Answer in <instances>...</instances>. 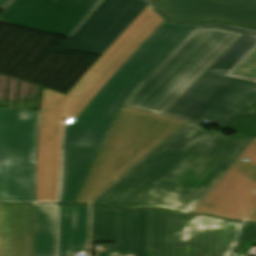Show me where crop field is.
<instances>
[{
    "label": "crop field",
    "mask_w": 256,
    "mask_h": 256,
    "mask_svg": "<svg viewBox=\"0 0 256 256\" xmlns=\"http://www.w3.org/2000/svg\"><path fill=\"white\" fill-rule=\"evenodd\" d=\"M256 243V224L245 223L237 244L230 256H241L248 254L252 245Z\"/></svg>",
    "instance_id": "733c2abd"
},
{
    "label": "crop field",
    "mask_w": 256,
    "mask_h": 256,
    "mask_svg": "<svg viewBox=\"0 0 256 256\" xmlns=\"http://www.w3.org/2000/svg\"><path fill=\"white\" fill-rule=\"evenodd\" d=\"M148 1H150V2H152V3L154 2V0H148Z\"/></svg>",
    "instance_id": "92a150f3"
},
{
    "label": "crop field",
    "mask_w": 256,
    "mask_h": 256,
    "mask_svg": "<svg viewBox=\"0 0 256 256\" xmlns=\"http://www.w3.org/2000/svg\"><path fill=\"white\" fill-rule=\"evenodd\" d=\"M219 127L256 136V98Z\"/></svg>",
    "instance_id": "d9b57169"
},
{
    "label": "crop field",
    "mask_w": 256,
    "mask_h": 256,
    "mask_svg": "<svg viewBox=\"0 0 256 256\" xmlns=\"http://www.w3.org/2000/svg\"><path fill=\"white\" fill-rule=\"evenodd\" d=\"M39 111L6 108L0 136V202H35Z\"/></svg>",
    "instance_id": "e52e79f7"
},
{
    "label": "crop field",
    "mask_w": 256,
    "mask_h": 256,
    "mask_svg": "<svg viewBox=\"0 0 256 256\" xmlns=\"http://www.w3.org/2000/svg\"><path fill=\"white\" fill-rule=\"evenodd\" d=\"M12 0H0V7L5 9Z\"/></svg>",
    "instance_id": "bc2a9ffb"
},
{
    "label": "crop field",
    "mask_w": 256,
    "mask_h": 256,
    "mask_svg": "<svg viewBox=\"0 0 256 256\" xmlns=\"http://www.w3.org/2000/svg\"><path fill=\"white\" fill-rule=\"evenodd\" d=\"M196 26L148 6L67 95L43 89L36 202L74 203L120 108Z\"/></svg>",
    "instance_id": "8a807250"
},
{
    "label": "crop field",
    "mask_w": 256,
    "mask_h": 256,
    "mask_svg": "<svg viewBox=\"0 0 256 256\" xmlns=\"http://www.w3.org/2000/svg\"><path fill=\"white\" fill-rule=\"evenodd\" d=\"M117 209L92 206V237L95 242H116Z\"/></svg>",
    "instance_id": "5142ce71"
},
{
    "label": "crop field",
    "mask_w": 256,
    "mask_h": 256,
    "mask_svg": "<svg viewBox=\"0 0 256 256\" xmlns=\"http://www.w3.org/2000/svg\"><path fill=\"white\" fill-rule=\"evenodd\" d=\"M73 253V252H72Z\"/></svg>",
    "instance_id": "dafd665d"
},
{
    "label": "crop field",
    "mask_w": 256,
    "mask_h": 256,
    "mask_svg": "<svg viewBox=\"0 0 256 256\" xmlns=\"http://www.w3.org/2000/svg\"><path fill=\"white\" fill-rule=\"evenodd\" d=\"M249 159L248 162L242 161ZM256 138L193 212L256 222Z\"/></svg>",
    "instance_id": "d8731c3e"
},
{
    "label": "crop field",
    "mask_w": 256,
    "mask_h": 256,
    "mask_svg": "<svg viewBox=\"0 0 256 256\" xmlns=\"http://www.w3.org/2000/svg\"><path fill=\"white\" fill-rule=\"evenodd\" d=\"M102 0H15L0 22L71 37Z\"/></svg>",
    "instance_id": "5a996713"
},
{
    "label": "crop field",
    "mask_w": 256,
    "mask_h": 256,
    "mask_svg": "<svg viewBox=\"0 0 256 256\" xmlns=\"http://www.w3.org/2000/svg\"><path fill=\"white\" fill-rule=\"evenodd\" d=\"M254 138L190 122L94 204L192 213Z\"/></svg>",
    "instance_id": "ac0d7876"
},
{
    "label": "crop field",
    "mask_w": 256,
    "mask_h": 256,
    "mask_svg": "<svg viewBox=\"0 0 256 256\" xmlns=\"http://www.w3.org/2000/svg\"><path fill=\"white\" fill-rule=\"evenodd\" d=\"M158 1V0H157Z\"/></svg>",
    "instance_id": "a9b5d70f"
},
{
    "label": "crop field",
    "mask_w": 256,
    "mask_h": 256,
    "mask_svg": "<svg viewBox=\"0 0 256 256\" xmlns=\"http://www.w3.org/2000/svg\"><path fill=\"white\" fill-rule=\"evenodd\" d=\"M89 216L88 206L60 205L59 256H70L71 251H86Z\"/></svg>",
    "instance_id": "22f410ed"
},
{
    "label": "crop field",
    "mask_w": 256,
    "mask_h": 256,
    "mask_svg": "<svg viewBox=\"0 0 256 256\" xmlns=\"http://www.w3.org/2000/svg\"><path fill=\"white\" fill-rule=\"evenodd\" d=\"M241 35L220 29H195L124 106L162 114Z\"/></svg>",
    "instance_id": "f4fd0767"
},
{
    "label": "crop field",
    "mask_w": 256,
    "mask_h": 256,
    "mask_svg": "<svg viewBox=\"0 0 256 256\" xmlns=\"http://www.w3.org/2000/svg\"><path fill=\"white\" fill-rule=\"evenodd\" d=\"M185 121L122 107L75 203H90Z\"/></svg>",
    "instance_id": "412701ff"
},
{
    "label": "crop field",
    "mask_w": 256,
    "mask_h": 256,
    "mask_svg": "<svg viewBox=\"0 0 256 256\" xmlns=\"http://www.w3.org/2000/svg\"><path fill=\"white\" fill-rule=\"evenodd\" d=\"M149 210L118 209L116 255L147 256Z\"/></svg>",
    "instance_id": "d1516ede"
},
{
    "label": "crop field",
    "mask_w": 256,
    "mask_h": 256,
    "mask_svg": "<svg viewBox=\"0 0 256 256\" xmlns=\"http://www.w3.org/2000/svg\"><path fill=\"white\" fill-rule=\"evenodd\" d=\"M240 224L150 209L148 256H227Z\"/></svg>",
    "instance_id": "dd49c442"
},
{
    "label": "crop field",
    "mask_w": 256,
    "mask_h": 256,
    "mask_svg": "<svg viewBox=\"0 0 256 256\" xmlns=\"http://www.w3.org/2000/svg\"><path fill=\"white\" fill-rule=\"evenodd\" d=\"M4 110H5V108L0 107V131H1V126H2V121H3Z\"/></svg>",
    "instance_id": "214f88e0"
},
{
    "label": "crop field",
    "mask_w": 256,
    "mask_h": 256,
    "mask_svg": "<svg viewBox=\"0 0 256 256\" xmlns=\"http://www.w3.org/2000/svg\"><path fill=\"white\" fill-rule=\"evenodd\" d=\"M149 3L103 0L61 49L102 55Z\"/></svg>",
    "instance_id": "3316defc"
},
{
    "label": "crop field",
    "mask_w": 256,
    "mask_h": 256,
    "mask_svg": "<svg viewBox=\"0 0 256 256\" xmlns=\"http://www.w3.org/2000/svg\"><path fill=\"white\" fill-rule=\"evenodd\" d=\"M197 28L244 34L163 115L220 125L256 97V31L221 23Z\"/></svg>",
    "instance_id": "34b2d1b8"
},
{
    "label": "crop field",
    "mask_w": 256,
    "mask_h": 256,
    "mask_svg": "<svg viewBox=\"0 0 256 256\" xmlns=\"http://www.w3.org/2000/svg\"><path fill=\"white\" fill-rule=\"evenodd\" d=\"M154 7L171 21H223L256 28V0H160Z\"/></svg>",
    "instance_id": "28ad6ade"
},
{
    "label": "crop field",
    "mask_w": 256,
    "mask_h": 256,
    "mask_svg": "<svg viewBox=\"0 0 256 256\" xmlns=\"http://www.w3.org/2000/svg\"><path fill=\"white\" fill-rule=\"evenodd\" d=\"M98 246H107V253L98 254L97 256H112L115 255V243H98Z\"/></svg>",
    "instance_id": "4a817a6b"
},
{
    "label": "crop field",
    "mask_w": 256,
    "mask_h": 256,
    "mask_svg": "<svg viewBox=\"0 0 256 256\" xmlns=\"http://www.w3.org/2000/svg\"><path fill=\"white\" fill-rule=\"evenodd\" d=\"M35 207L34 256H56L57 207Z\"/></svg>",
    "instance_id": "cbeb9de0"
},
{
    "label": "crop field",
    "mask_w": 256,
    "mask_h": 256,
    "mask_svg": "<svg viewBox=\"0 0 256 256\" xmlns=\"http://www.w3.org/2000/svg\"><path fill=\"white\" fill-rule=\"evenodd\" d=\"M156 1V0H155Z\"/></svg>",
    "instance_id": "00972430"
}]
</instances>
